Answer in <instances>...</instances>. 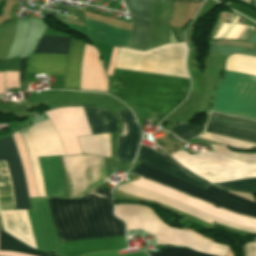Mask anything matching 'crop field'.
<instances>
[{
    "label": "crop field",
    "mask_w": 256,
    "mask_h": 256,
    "mask_svg": "<svg viewBox=\"0 0 256 256\" xmlns=\"http://www.w3.org/2000/svg\"><path fill=\"white\" fill-rule=\"evenodd\" d=\"M47 200L60 241L124 235V222L112 215L109 192L94 188L78 200Z\"/></svg>",
    "instance_id": "8a807250"
},
{
    "label": "crop field",
    "mask_w": 256,
    "mask_h": 256,
    "mask_svg": "<svg viewBox=\"0 0 256 256\" xmlns=\"http://www.w3.org/2000/svg\"><path fill=\"white\" fill-rule=\"evenodd\" d=\"M186 79L115 69L108 93L130 107L167 116L187 96Z\"/></svg>",
    "instance_id": "ac0d7876"
},
{
    "label": "crop field",
    "mask_w": 256,
    "mask_h": 256,
    "mask_svg": "<svg viewBox=\"0 0 256 256\" xmlns=\"http://www.w3.org/2000/svg\"><path fill=\"white\" fill-rule=\"evenodd\" d=\"M128 183H131V184L138 185V186H141L143 188L149 189L151 191L162 194L164 196H167V197L172 198L174 200L180 201V202L185 203L187 205L193 206V207L198 208L200 210L206 211L208 213H211V214L216 215L218 217L224 218L226 220H230V221H234V222H238V223H242V224H246V225L256 227V220L255 219H251V218H247V217H243V216H239V215L229 213L227 211L216 208V207H214V206H212V205H210L206 202H203L201 200L195 199L193 197L187 196L185 194H182L180 192H177L175 190H172L170 188L162 186L158 183L151 182V181H148V180H145V179H142V178H140L137 181H132V182H128ZM131 184L124 183V184L119 185L118 187H116V189L131 193V194H134V195L146 198V199H149L151 201H155V202L165 204V205L170 206V207H172L176 210L188 213V214H190V215H192L196 218H199V219H201L205 222H208L210 224L216 222V223L227 225V226L239 229V230L256 233V228L226 221L224 219L218 218V217L213 216L211 214L205 213V212L200 211L198 209H195L193 207L187 206V205L182 204L180 202L174 201V200L169 199L167 197L161 196L159 194H156L154 192H151L149 190H146V189H143L141 187L134 186V185H131Z\"/></svg>",
    "instance_id": "34b2d1b8"
},
{
    "label": "crop field",
    "mask_w": 256,
    "mask_h": 256,
    "mask_svg": "<svg viewBox=\"0 0 256 256\" xmlns=\"http://www.w3.org/2000/svg\"><path fill=\"white\" fill-rule=\"evenodd\" d=\"M114 215L126 222V230L142 229L156 236L157 244L183 245L198 252L224 256L228 246L168 227L149 208L139 205L115 206Z\"/></svg>",
    "instance_id": "412701ff"
},
{
    "label": "crop field",
    "mask_w": 256,
    "mask_h": 256,
    "mask_svg": "<svg viewBox=\"0 0 256 256\" xmlns=\"http://www.w3.org/2000/svg\"><path fill=\"white\" fill-rule=\"evenodd\" d=\"M186 51L184 43L146 51L120 47L115 68L189 79L185 68Z\"/></svg>",
    "instance_id": "f4fd0767"
},
{
    "label": "crop field",
    "mask_w": 256,
    "mask_h": 256,
    "mask_svg": "<svg viewBox=\"0 0 256 256\" xmlns=\"http://www.w3.org/2000/svg\"><path fill=\"white\" fill-rule=\"evenodd\" d=\"M170 156L195 175L213 184L256 177V164H245L219 154L203 152L189 155L177 151Z\"/></svg>",
    "instance_id": "dd49c442"
},
{
    "label": "crop field",
    "mask_w": 256,
    "mask_h": 256,
    "mask_svg": "<svg viewBox=\"0 0 256 256\" xmlns=\"http://www.w3.org/2000/svg\"><path fill=\"white\" fill-rule=\"evenodd\" d=\"M207 121L256 132V120H250V119L210 112L208 115ZM209 122H207L206 129H205L208 132L229 137V138L256 143V133L235 129L231 127H226L218 124H213ZM206 131L200 134L198 137L205 138L221 144H230V145L244 146V147H251L256 145L252 143H247L243 141H238L234 139L213 135ZM211 147L213 148L212 150L213 152L231 156L246 162H256V153L244 154V153H237V152L230 151L226 147H217V146H211Z\"/></svg>",
    "instance_id": "e52e79f7"
},
{
    "label": "crop field",
    "mask_w": 256,
    "mask_h": 256,
    "mask_svg": "<svg viewBox=\"0 0 256 256\" xmlns=\"http://www.w3.org/2000/svg\"><path fill=\"white\" fill-rule=\"evenodd\" d=\"M212 110L256 118V77L226 71Z\"/></svg>",
    "instance_id": "d8731c3e"
},
{
    "label": "crop field",
    "mask_w": 256,
    "mask_h": 256,
    "mask_svg": "<svg viewBox=\"0 0 256 256\" xmlns=\"http://www.w3.org/2000/svg\"><path fill=\"white\" fill-rule=\"evenodd\" d=\"M138 168H141V169H144L146 171H149V172H152V173H155L157 175H160V176H163V177H166L168 179H171V180H174V181H177V182H180L182 184H185V185H188V186H191L193 188H196V189H199V190H202L204 192H207V193H210L214 196H217L221 199H224L228 202H231L235 205H238V206H242V207H246V208H249V209H253V210H256V204L252 203V202H249L245 199H242L236 195H233L229 192H225V191H222L214 186H210L209 189L207 191L197 187V186H194L188 182H185V181H182V180H179V179H176L166 173H163L157 169H154L146 164H142L140 163ZM136 168L133 173L137 174V175H140V176H143L145 178H148V179H151L155 182H158V183H162V184H165L173 189H176L178 191H181L183 193H186L188 195H191L193 197H196L198 199H201L203 201H206L208 203H211V204H214V205H217V206H220V207H224L232 212H235V213H239V214H243V215H247V216H251V217H255L256 218V211H253V210H249V209H246V208H242V207H238V206H235L231 203H228L224 200H221L217 197H214L210 194H207V193H204L202 191H199V190H196V189H193L191 187H188V186H185V185H182L180 183H177V182H174V181H171V180H168L166 178H163V177H160V176H157L155 174H152V173H149V172H146L144 170H141V169H138ZM223 208V209H224Z\"/></svg>",
    "instance_id": "5a996713"
},
{
    "label": "crop field",
    "mask_w": 256,
    "mask_h": 256,
    "mask_svg": "<svg viewBox=\"0 0 256 256\" xmlns=\"http://www.w3.org/2000/svg\"><path fill=\"white\" fill-rule=\"evenodd\" d=\"M70 198H81L105 182L103 157L92 154L62 156Z\"/></svg>",
    "instance_id": "3316defc"
},
{
    "label": "crop field",
    "mask_w": 256,
    "mask_h": 256,
    "mask_svg": "<svg viewBox=\"0 0 256 256\" xmlns=\"http://www.w3.org/2000/svg\"><path fill=\"white\" fill-rule=\"evenodd\" d=\"M46 115L57 130L66 154L81 153L76 136L91 134L82 108H59L46 112Z\"/></svg>",
    "instance_id": "28ad6ade"
},
{
    "label": "crop field",
    "mask_w": 256,
    "mask_h": 256,
    "mask_svg": "<svg viewBox=\"0 0 256 256\" xmlns=\"http://www.w3.org/2000/svg\"><path fill=\"white\" fill-rule=\"evenodd\" d=\"M70 40L42 36L35 52L67 54ZM43 53L29 55L27 70L64 75L67 55Z\"/></svg>",
    "instance_id": "d1516ede"
},
{
    "label": "crop field",
    "mask_w": 256,
    "mask_h": 256,
    "mask_svg": "<svg viewBox=\"0 0 256 256\" xmlns=\"http://www.w3.org/2000/svg\"><path fill=\"white\" fill-rule=\"evenodd\" d=\"M133 21L130 48H152V0H123ZM170 44L177 40L169 28Z\"/></svg>",
    "instance_id": "22f410ed"
},
{
    "label": "crop field",
    "mask_w": 256,
    "mask_h": 256,
    "mask_svg": "<svg viewBox=\"0 0 256 256\" xmlns=\"http://www.w3.org/2000/svg\"><path fill=\"white\" fill-rule=\"evenodd\" d=\"M0 160H6L15 196L16 209H30L23 172L11 138L0 140Z\"/></svg>",
    "instance_id": "cbeb9de0"
},
{
    "label": "crop field",
    "mask_w": 256,
    "mask_h": 256,
    "mask_svg": "<svg viewBox=\"0 0 256 256\" xmlns=\"http://www.w3.org/2000/svg\"><path fill=\"white\" fill-rule=\"evenodd\" d=\"M107 78L98 62V51L91 45L84 46L81 65L80 90L106 92Z\"/></svg>",
    "instance_id": "5142ce71"
},
{
    "label": "crop field",
    "mask_w": 256,
    "mask_h": 256,
    "mask_svg": "<svg viewBox=\"0 0 256 256\" xmlns=\"http://www.w3.org/2000/svg\"><path fill=\"white\" fill-rule=\"evenodd\" d=\"M137 160L147 163L163 172H166L176 178L188 181L205 190L210 186L209 184L191 176L181 167H179L167 154L158 153L149 147L140 144L139 154Z\"/></svg>",
    "instance_id": "d9b57169"
},
{
    "label": "crop field",
    "mask_w": 256,
    "mask_h": 256,
    "mask_svg": "<svg viewBox=\"0 0 256 256\" xmlns=\"http://www.w3.org/2000/svg\"><path fill=\"white\" fill-rule=\"evenodd\" d=\"M63 256H81L95 251L126 249L124 236L60 242Z\"/></svg>",
    "instance_id": "733c2abd"
},
{
    "label": "crop field",
    "mask_w": 256,
    "mask_h": 256,
    "mask_svg": "<svg viewBox=\"0 0 256 256\" xmlns=\"http://www.w3.org/2000/svg\"><path fill=\"white\" fill-rule=\"evenodd\" d=\"M0 215L4 231L36 249L26 210L0 211Z\"/></svg>",
    "instance_id": "4a817a6b"
},
{
    "label": "crop field",
    "mask_w": 256,
    "mask_h": 256,
    "mask_svg": "<svg viewBox=\"0 0 256 256\" xmlns=\"http://www.w3.org/2000/svg\"><path fill=\"white\" fill-rule=\"evenodd\" d=\"M117 114L121 120L128 119V128L126 135H119L116 159L132 162L137 152L140 130L128 108Z\"/></svg>",
    "instance_id": "bc2a9ffb"
},
{
    "label": "crop field",
    "mask_w": 256,
    "mask_h": 256,
    "mask_svg": "<svg viewBox=\"0 0 256 256\" xmlns=\"http://www.w3.org/2000/svg\"><path fill=\"white\" fill-rule=\"evenodd\" d=\"M85 20L86 37L101 43L129 48L131 32L107 26L93 20Z\"/></svg>",
    "instance_id": "214f88e0"
},
{
    "label": "crop field",
    "mask_w": 256,
    "mask_h": 256,
    "mask_svg": "<svg viewBox=\"0 0 256 256\" xmlns=\"http://www.w3.org/2000/svg\"><path fill=\"white\" fill-rule=\"evenodd\" d=\"M84 43L80 41H72L66 72V88L79 90L80 65L82 59Z\"/></svg>",
    "instance_id": "92a150f3"
},
{
    "label": "crop field",
    "mask_w": 256,
    "mask_h": 256,
    "mask_svg": "<svg viewBox=\"0 0 256 256\" xmlns=\"http://www.w3.org/2000/svg\"><path fill=\"white\" fill-rule=\"evenodd\" d=\"M83 108L85 110V113L88 118V121H89V124H90L93 134L102 133V132H110V131L116 132L117 121H116L114 115H112L106 111V115H107V119H108V123H109V127H110V131H109V127H108L104 109L93 108V107H83Z\"/></svg>",
    "instance_id": "dafd665d"
},
{
    "label": "crop field",
    "mask_w": 256,
    "mask_h": 256,
    "mask_svg": "<svg viewBox=\"0 0 256 256\" xmlns=\"http://www.w3.org/2000/svg\"><path fill=\"white\" fill-rule=\"evenodd\" d=\"M12 136H13L14 143L22 163L23 172L26 179V183H27L28 195L29 197H38L35 183H34L32 169L29 163L28 154L26 152L23 139L20 136L19 131L13 133Z\"/></svg>",
    "instance_id": "00972430"
},
{
    "label": "crop field",
    "mask_w": 256,
    "mask_h": 256,
    "mask_svg": "<svg viewBox=\"0 0 256 256\" xmlns=\"http://www.w3.org/2000/svg\"><path fill=\"white\" fill-rule=\"evenodd\" d=\"M226 70L256 76V57L232 54L226 61Z\"/></svg>",
    "instance_id": "a9b5d70f"
},
{
    "label": "crop field",
    "mask_w": 256,
    "mask_h": 256,
    "mask_svg": "<svg viewBox=\"0 0 256 256\" xmlns=\"http://www.w3.org/2000/svg\"><path fill=\"white\" fill-rule=\"evenodd\" d=\"M0 250H7V251H14V252H20V253H26L30 255H35V256H47V253L40 252L38 250H34L9 234L3 232L0 230Z\"/></svg>",
    "instance_id": "4177f3b9"
},
{
    "label": "crop field",
    "mask_w": 256,
    "mask_h": 256,
    "mask_svg": "<svg viewBox=\"0 0 256 256\" xmlns=\"http://www.w3.org/2000/svg\"><path fill=\"white\" fill-rule=\"evenodd\" d=\"M223 189L241 192H256V178L215 184Z\"/></svg>",
    "instance_id": "730fd06b"
},
{
    "label": "crop field",
    "mask_w": 256,
    "mask_h": 256,
    "mask_svg": "<svg viewBox=\"0 0 256 256\" xmlns=\"http://www.w3.org/2000/svg\"><path fill=\"white\" fill-rule=\"evenodd\" d=\"M205 124H190V125H181L176 126L169 132L177 135L183 141H188L189 139L199 135Z\"/></svg>",
    "instance_id": "eef30255"
},
{
    "label": "crop field",
    "mask_w": 256,
    "mask_h": 256,
    "mask_svg": "<svg viewBox=\"0 0 256 256\" xmlns=\"http://www.w3.org/2000/svg\"><path fill=\"white\" fill-rule=\"evenodd\" d=\"M151 256H210L182 248H160V252H149Z\"/></svg>",
    "instance_id": "ae1a2a85"
},
{
    "label": "crop field",
    "mask_w": 256,
    "mask_h": 256,
    "mask_svg": "<svg viewBox=\"0 0 256 256\" xmlns=\"http://www.w3.org/2000/svg\"><path fill=\"white\" fill-rule=\"evenodd\" d=\"M187 64H188V71L192 79L191 90H199L200 78L196 70V51H189Z\"/></svg>",
    "instance_id": "d3111659"
},
{
    "label": "crop field",
    "mask_w": 256,
    "mask_h": 256,
    "mask_svg": "<svg viewBox=\"0 0 256 256\" xmlns=\"http://www.w3.org/2000/svg\"><path fill=\"white\" fill-rule=\"evenodd\" d=\"M224 5L232 8L233 10H235V11H237V12H239V13H241V14H243V15L251 18V19H253L254 21H256V12L255 11L250 10L248 8H245V7L241 6V5H238V4H236V3H234V2H232L230 0L227 3H225Z\"/></svg>",
    "instance_id": "750c4746"
},
{
    "label": "crop field",
    "mask_w": 256,
    "mask_h": 256,
    "mask_svg": "<svg viewBox=\"0 0 256 256\" xmlns=\"http://www.w3.org/2000/svg\"><path fill=\"white\" fill-rule=\"evenodd\" d=\"M5 89H20L18 83V70L6 73Z\"/></svg>",
    "instance_id": "bd1437ed"
},
{
    "label": "crop field",
    "mask_w": 256,
    "mask_h": 256,
    "mask_svg": "<svg viewBox=\"0 0 256 256\" xmlns=\"http://www.w3.org/2000/svg\"><path fill=\"white\" fill-rule=\"evenodd\" d=\"M85 256H148V255H146L143 252L131 253L126 255H117L116 252H103V253H94V254L85 255Z\"/></svg>",
    "instance_id": "1d83c4d3"
},
{
    "label": "crop field",
    "mask_w": 256,
    "mask_h": 256,
    "mask_svg": "<svg viewBox=\"0 0 256 256\" xmlns=\"http://www.w3.org/2000/svg\"><path fill=\"white\" fill-rule=\"evenodd\" d=\"M118 49L119 48L113 47L112 57H111V61H110V65H109L108 71H107V74L110 75V76L112 75V72H113V69H114V65H115Z\"/></svg>",
    "instance_id": "120bbe31"
},
{
    "label": "crop field",
    "mask_w": 256,
    "mask_h": 256,
    "mask_svg": "<svg viewBox=\"0 0 256 256\" xmlns=\"http://www.w3.org/2000/svg\"><path fill=\"white\" fill-rule=\"evenodd\" d=\"M245 256H256V244L245 245Z\"/></svg>",
    "instance_id": "d32e631a"
},
{
    "label": "crop field",
    "mask_w": 256,
    "mask_h": 256,
    "mask_svg": "<svg viewBox=\"0 0 256 256\" xmlns=\"http://www.w3.org/2000/svg\"><path fill=\"white\" fill-rule=\"evenodd\" d=\"M24 78V58H20V75L19 81H23Z\"/></svg>",
    "instance_id": "5866460e"
},
{
    "label": "crop field",
    "mask_w": 256,
    "mask_h": 256,
    "mask_svg": "<svg viewBox=\"0 0 256 256\" xmlns=\"http://www.w3.org/2000/svg\"><path fill=\"white\" fill-rule=\"evenodd\" d=\"M4 73H0V94L3 93Z\"/></svg>",
    "instance_id": "028f5c9d"
},
{
    "label": "crop field",
    "mask_w": 256,
    "mask_h": 256,
    "mask_svg": "<svg viewBox=\"0 0 256 256\" xmlns=\"http://www.w3.org/2000/svg\"><path fill=\"white\" fill-rule=\"evenodd\" d=\"M49 256H55V255H51V254H50Z\"/></svg>",
    "instance_id": "e1f06a70"
}]
</instances>
